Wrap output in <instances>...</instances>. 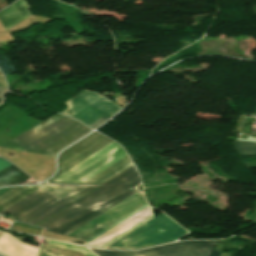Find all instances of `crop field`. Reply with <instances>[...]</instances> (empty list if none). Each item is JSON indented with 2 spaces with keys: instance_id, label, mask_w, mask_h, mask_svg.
<instances>
[{
  "instance_id": "obj_1",
  "label": "crop field",
  "mask_w": 256,
  "mask_h": 256,
  "mask_svg": "<svg viewBox=\"0 0 256 256\" xmlns=\"http://www.w3.org/2000/svg\"><path fill=\"white\" fill-rule=\"evenodd\" d=\"M139 183H141L140 177L133 166L38 226L67 235L135 194L136 192L131 188Z\"/></svg>"
},
{
  "instance_id": "obj_2",
  "label": "crop field",
  "mask_w": 256,
  "mask_h": 256,
  "mask_svg": "<svg viewBox=\"0 0 256 256\" xmlns=\"http://www.w3.org/2000/svg\"><path fill=\"white\" fill-rule=\"evenodd\" d=\"M89 131L84 125L57 114L1 147L53 157Z\"/></svg>"
},
{
  "instance_id": "obj_3",
  "label": "crop field",
  "mask_w": 256,
  "mask_h": 256,
  "mask_svg": "<svg viewBox=\"0 0 256 256\" xmlns=\"http://www.w3.org/2000/svg\"><path fill=\"white\" fill-rule=\"evenodd\" d=\"M67 186L46 184L39 190L61 199L69 195L72 191L80 188ZM95 187L96 186H83L62 200L37 190L0 214L6 215L9 213L17 218V221L35 225Z\"/></svg>"
},
{
  "instance_id": "obj_4",
  "label": "crop field",
  "mask_w": 256,
  "mask_h": 256,
  "mask_svg": "<svg viewBox=\"0 0 256 256\" xmlns=\"http://www.w3.org/2000/svg\"><path fill=\"white\" fill-rule=\"evenodd\" d=\"M112 142L114 141L97 132L92 133L61 154L59 158V171L50 180H55ZM131 165L133 164L127 156L84 183L102 184Z\"/></svg>"
},
{
  "instance_id": "obj_5",
  "label": "crop field",
  "mask_w": 256,
  "mask_h": 256,
  "mask_svg": "<svg viewBox=\"0 0 256 256\" xmlns=\"http://www.w3.org/2000/svg\"><path fill=\"white\" fill-rule=\"evenodd\" d=\"M185 234L186 230L162 213L108 248H139L173 241Z\"/></svg>"
},
{
  "instance_id": "obj_6",
  "label": "crop field",
  "mask_w": 256,
  "mask_h": 256,
  "mask_svg": "<svg viewBox=\"0 0 256 256\" xmlns=\"http://www.w3.org/2000/svg\"><path fill=\"white\" fill-rule=\"evenodd\" d=\"M65 103L69 108L61 113L70 115L93 129L122 109L114 102L87 90Z\"/></svg>"
},
{
  "instance_id": "obj_7",
  "label": "crop field",
  "mask_w": 256,
  "mask_h": 256,
  "mask_svg": "<svg viewBox=\"0 0 256 256\" xmlns=\"http://www.w3.org/2000/svg\"><path fill=\"white\" fill-rule=\"evenodd\" d=\"M145 204L144 197L137 193L68 236L87 241Z\"/></svg>"
},
{
  "instance_id": "obj_8",
  "label": "crop field",
  "mask_w": 256,
  "mask_h": 256,
  "mask_svg": "<svg viewBox=\"0 0 256 256\" xmlns=\"http://www.w3.org/2000/svg\"><path fill=\"white\" fill-rule=\"evenodd\" d=\"M215 241H188L140 251L92 250L98 256H208Z\"/></svg>"
},
{
  "instance_id": "obj_9",
  "label": "crop field",
  "mask_w": 256,
  "mask_h": 256,
  "mask_svg": "<svg viewBox=\"0 0 256 256\" xmlns=\"http://www.w3.org/2000/svg\"><path fill=\"white\" fill-rule=\"evenodd\" d=\"M27 8L29 7L25 0L16 2L12 6L0 12V22L3 24L6 30L9 29L24 18L31 15Z\"/></svg>"
},
{
  "instance_id": "obj_10",
  "label": "crop field",
  "mask_w": 256,
  "mask_h": 256,
  "mask_svg": "<svg viewBox=\"0 0 256 256\" xmlns=\"http://www.w3.org/2000/svg\"><path fill=\"white\" fill-rule=\"evenodd\" d=\"M43 185L33 187H14L0 195V212L35 191Z\"/></svg>"
},
{
  "instance_id": "obj_11",
  "label": "crop field",
  "mask_w": 256,
  "mask_h": 256,
  "mask_svg": "<svg viewBox=\"0 0 256 256\" xmlns=\"http://www.w3.org/2000/svg\"><path fill=\"white\" fill-rule=\"evenodd\" d=\"M29 178L31 177L12 165L0 171V186L20 184Z\"/></svg>"
},
{
  "instance_id": "obj_12",
  "label": "crop field",
  "mask_w": 256,
  "mask_h": 256,
  "mask_svg": "<svg viewBox=\"0 0 256 256\" xmlns=\"http://www.w3.org/2000/svg\"><path fill=\"white\" fill-rule=\"evenodd\" d=\"M240 155H256V143L236 141Z\"/></svg>"
},
{
  "instance_id": "obj_13",
  "label": "crop field",
  "mask_w": 256,
  "mask_h": 256,
  "mask_svg": "<svg viewBox=\"0 0 256 256\" xmlns=\"http://www.w3.org/2000/svg\"><path fill=\"white\" fill-rule=\"evenodd\" d=\"M148 206L145 205L142 208H140L139 210L135 211L134 213H132L131 215L127 216L126 218H124L123 220L119 221L118 223H116L115 225L111 226L110 228H108L107 230L103 231L102 233H100L99 235L95 236L94 238H92L91 240H89L88 242L92 241L93 239L99 237L100 235H102L103 233L107 232L108 230H110L111 228H113L114 226H116L117 224L121 223L122 221H124L125 219L129 218L130 216L136 214L137 212L141 211L142 209L146 208ZM150 207V206H149ZM152 210V209H151ZM153 218V215L150 216L149 218L145 219L144 221H142L141 223H139L138 225L134 226L133 228H131L130 230L126 231L125 233H123L122 235H120L119 237L115 238L114 240H112L111 242H109L108 244L104 245L102 248L106 247L107 245L111 244L112 242H114L115 240L119 239L120 237L124 236L125 234H127L128 232L132 231L133 229L137 228L138 226H140L141 224L145 223L146 221H148L149 219ZM87 242V243H88ZM86 244V243H85Z\"/></svg>"
},
{
  "instance_id": "obj_14",
  "label": "crop field",
  "mask_w": 256,
  "mask_h": 256,
  "mask_svg": "<svg viewBox=\"0 0 256 256\" xmlns=\"http://www.w3.org/2000/svg\"><path fill=\"white\" fill-rule=\"evenodd\" d=\"M46 242L49 245H54V246H59V247H64V248L78 250V251L82 252L83 254H85L86 256H95L86 248H81V247L69 245L67 243L56 242V241H51V240H47V239H46Z\"/></svg>"
},
{
  "instance_id": "obj_15",
  "label": "crop field",
  "mask_w": 256,
  "mask_h": 256,
  "mask_svg": "<svg viewBox=\"0 0 256 256\" xmlns=\"http://www.w3.org/2000/svg\"><path fill=\"white\" fill-rule=\"evenodd\" d=\"M39 256H62V255H59V254H56V253H53L43 247H41L40 249V255Z\"/></svg>"
},
{
  "instance_id": "obj_16",
  "label": "crop field",
  "mask_w": 256,
  "mask_h": 256,
  "mask_svg": "<svg viewBox=\"0 0 256 256\" xmlns=\"http://www.w3.org/2000/svg\"><path fill=\"white\" fill-rule=\"evenodd\" d=\"M10 165H12V164L9 163V162L6 161V160L0 158V170L4 169V168H6V167H8V166H10Z\"/></svg>"
},
{
  "instance_id": "obj_17",
  "label": "crop field",
  "mask_w": 256,
  "mask_h": 256,
  "mask_svg": "<svg viewBox=\"0 0 256 256\" xmlns=\"http://www.w3.org/2000/svg\"><path fill=\"white\" fill-rule=\"evenodd\" d=\"M217 241H218V240H217ZM217 241H216V243H217ZM216 243H215V245H216ZM215 245H214V247H215ZM214 247H213V249H214ZM213 249L211 250V252H210L209 256H219V255H220V253H219V252H215V251H213Z\"/></svg>"
},
{
  "instance_id": "obj_18",
  "label": "crop field",
  "mask_w": 256,
  "mask_h": 256,
  "mask_svg": "<svg viewBox=\"0 0 256 256\" xmlns=\"http://www.w3.org/2000/svg\"><path fill=\"white\" fill-rule=\"evenodd\" d=\"M0 86L7 87V85H6L5 80H4L3 77H0Z\"/></svg>"
},
{
  "instance_id": "obj_19",
  "label": "crop field",
  "mask_w": 256,
  "mask_h": 256,
  "mask_svg": "<svg viewBox=\"0 0 256 256\" xmlns=\"http://www.w3.org/2000/svg\"><path fill=\"white\" fill-rule=\"evenodd\" d=\"M8 189H10V188H3V189H0V194H2L3 192L7 191Z\"/></svg>"
},
{
  "instance_id": "obj_20",
  "label": "crop field",
  "mask_w": 256,
  "mask_h": 256,
  "mask_svg": "<svg viewBox=\"0 0 256 256\" xmlns=\"http://www.w3.org/2000/svg\"><path fill=\"white\" fill-rule=\"evenodd\" d=\"M3 101V99H0V103Z\"/></svg>"
},
{
  "instance_id": "obj_21",
  "label": "crop field",
  "mask_w": 256,
  "mask_h": 256,
  "mask_svg": "<svg viewBox=\"0 0 256 256\" xmlns=\"http://www.w3.org/2000/svg\"><path fill=\"white\" fill-rule=\"evenodd\" d=\"M0 76H3L1 72H0Z\"/></svg>"
}]
</instances>
